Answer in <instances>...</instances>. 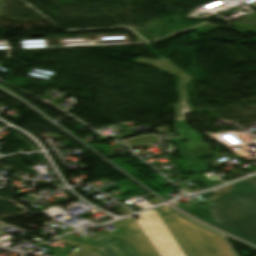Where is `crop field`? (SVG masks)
<instances>
[{"instance_id":"obj_7","label":"crop field","mask_w":256,"mask_h":256,"mask_svg":"<svg viewBox=\"0 0 256 256\" xmlns=\"http://www.w3.org/2000/svg\"><path fill=\"white\" fill-rule=\"evenodd\" d=\"M253 162V161H252ZM253 163H255V162H253ZM256 164V163H255Z\"/></svg>"},{"instance_id":"obj_2","label":"crop field","mask_w":256,"mask_h":256,"mask_svg":"<svg viewBox=\"0 0 256 256\" xmlns=\"http://www.w3.org/2000/svg\"><path fill=\"white\" fill-rule=\"evenodd\" d=\"M200 196L216 223L256 241V177Z\"/></svg>"},{"instance_id":"obj_1","label":"crop field","mask_w":256,"mask_h":256,"mask_svg":"<svg viewBox=\"0 0 256 256\" xmlns=\"http://www.w3.org/2000/svg\"><path fill=\"white\" fill-rule=\"evenodd\" d=\"M157 211L187 256H234L220 235L185 219L166 206ZM112 224L125 232L117 236L126 241L138 256H159L135 220L128 218Z\"/></svg>"},{"instance_id":"obj_6","label":"crop field","mask_w":256,"mask_h":256,"mask_svg":"<svg viewBox=\"0 0 256 256\" xmlns=\"http://www.w3.org/2000/svg\"><path fill=\"white\" fill-rule=\"evenodd\" d=\"M184 111L182 112L181 118L177 119V121H183Z\"/></svg>"},{"instance_id":"obj_4","label":"crop field","mask_w":256,"mask_h":256,"mask_svg":"<svg viewBox=\"0 0 256 256\" xmlns=\"http://www.w3.org/2000/svg\"><path fill=\"white\" fill-rule=\"evenodd\" d=\"M172 74L177 75L178 77L183 79V81L180 82L181 104L178 105L177 113L175 114L177 119L180 117L181 111L192 110L193 104H186V99H185V93L188 92L187 83L190 82L189 76L183 77L175 72Z\"/></svg>"},{"instance_id":"obj_3","label":"crop field","mask_w":256,"mask_h":256,"mask_svg":"<svg viewBox=\"0 0 256 256\" xmlns=\"http://www.w3.org/2000/svg\"><path fill=\"white\" fill-rule=\"evenodd\" d=\"M67 238L102 249L98 252L100 256H137L127 243L111 233L101 236L97 241L89 237L83 240L72 236Z\"/></svg>"},{"instance_id":"obj_5","label":"crop field","mask_w":256,"mask_h":256,"mask_svg":"<svg viewBox=\"0 0 256 256\" xmlns=\"http://www.w3.org/2000/svg\"><path fill=\"white\" fill-rule=\"evenodd\" d=\"M68 256H99V254L80 247Z\"/></svg>"}]
</instances>
